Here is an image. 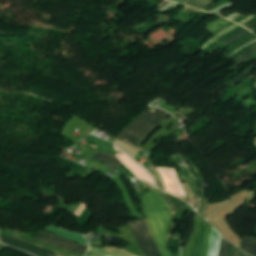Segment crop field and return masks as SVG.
I'll return each mask as SVG.
<instances>
[{
	"label": "crop field",
	"instance_id": "crop-field-1",
	"mask_svg": "<svg viewBox=\"0 0 256 256\" xmlns=\"http://www.w3.org/2000/svg\"><path fill=\"white\" fill-rule=\"evenodd\" d=\"M151 233L163 256H172L166 242L173 229L172 215L157 190L140 197ZM173 231V230H172Z\"/></svg>",
	"mask_w": 256,
	"mask_h": 256
},
{
	"label": "crop field",
	"instance_id": "crop-field-2",
	"mask_svg": "<svg viewBox=\"0 0 256 256\" xmlns=\"http://www.w3.org/2000/svg\"><path fill=\"white\" fill-rule=\"evenodd\" d=\"M169 116L170 114L162 110L146 111L117 139L126 140L135 145L151 128Z\"/></svg>",
	"mask_w": 256,
	"mask_h": 256
},
{
	"label": "crop field",
	"instance_id": "crop-field-3",
	"mask_svg": "<svg viewBox=\"0 0 256 256\" xmlns=\"http://www.w3.org/2000/svg\"><path fill=\"white\" fill-rule=\"evenodd\" d=\"M129 225L145 256H161L145 220Z\"/></svg>",
	"mask_w": 256,
	"mask_h": 256
},
{
	"label": "crop field",
	"instance_id": "crop-field-4",
	"mask_svg": "<svg viewBox=\"0 0 256 256\" xmlns=\"http://www.w3.org/2000/svg\"><path fill=\"white\" fill-rule=\"evenodd\" d=\"M0 236L3 242L23 249L37 256H68L45 247L23 241L17 237L2 234H0Z\"/></svg>",
	"mask_w": 256,
	"mask_h": 256
},
{
	"label": "crop field",
	"instance_id": "crop-field-5",
	"mask_svg": "<svg viewBox=\"0 0 256 256\" xmlns=\"http://www.w3.org/2000/svg\"><path fill=\"white\" fill-rule=\"evenodd\" d=\"M38 233L50 238V239H46V238L38 235L37 236L38 241H41V242H44L47 244H51V245H54V246H57V247H60V248H63V249L69 250V251H73V252H76V253H79L82 255H84V253L86 252V249H87L86 246L77 244L75 242L58 237L56 235L50 234L45 231L38 232Z\"/></svg>",
	"mask_w": 256,
	"mask_h": 256
},
{
	"label": "crop field",
	"instance_id": "crop-field-6",
	"mask_svg": "<svg viewBox=\"0 0 256 256\" xmlns=\"http://www.w3.org/2000/svg\"><path fill=\"white\" fill-rule=\"evenodd\" d=\"M89 252L98 254L100 256H134L123 250L105 247L103 249L90 246Z\"/></svg>",
	"mask_w": 256,
	"mask_h": 256
},
{
	"label": "crop field",
	"instance_id": "crop-field-7",
	"mask_svg": "<svg viewBox=\"0 0 256 256\" xmlns=\"http://www.w3.org/2000/svg\"><path fill=\"white\" fill-rule=\"evenodd\" d=\"M93 160L106 164L111 168V170L123 164L116 156L109 155L103 152H99L98 154H96Z\"/></svg>",
	"mask_w": 256,
	"mask_h": 256
},
{
	"label": "crop field",
	"instance_id": "crop-field-8",
	"mask_svg": "<svg viewBox=\"0 0 256 256\" xmlns=\"http://www.w3.org/2000/svg\"><path fill=\"white\" fill-rule=\"evenodd\" d=\"M45 230L47 231H50L52 233H55V234H58L60 236H63V237H66L68 239H71L75 242H78V243H81V244H84V245H87L88 246V242L86 241V239L81 236V235H77V234H74V233H70V232H67L65 230H62V229H59V228H56L54 226L52 227H48V228H45Z\"/></svg>",
	"mask_w": 256,
	"mask_h": 256
},
{
	"label": "crop field",
	"instance_id": "crop-field-9",
	"mask_svg": "<svg viewBox=\"0 0 256 256\" xmlns=\"http://www.w3.org/2000/svg\"><path fill=\"white\" fill-rule=\"evenodd\" d=\"M221 235L213 228L209 245L208 256H217Z\"/></svg>",
	"mask_w": 256,
	"mask_h": 256
},
{
	"label": "crop field",
	"instance_id": "crop-field-10",
	"mask_svg": "<svg viewBox=\"0 0 256 256\" xmlns=\"http://www.w3.org/2000/svg\"><path fill=\"white\" fill-rule=\"evenodd\" d=\"M243 251L256 256V239L250 238L245 241H242V245L240 247Z\"/></svg>",
	"mask_w": 256,
	"mask_h": 256
},
{
	"label": "crop field",
	"instance_id": "crop-field-11",
	"mask_svg": "<svg viewBox=\"0 0 256 256\" xmlns=\"http://www.w3.org/2000/svg\"><path fill=\"white\" fill-rule=\"evenodd\" d=\"M233 245L221 238L220 250L218 256H230Z\"/></svg>",
	"mask_w": 256,
	"mask_h": 256
},
{
	"label": "crop field",
	"instance_id": "crop-field-12",
	"mask_svg": "<svg viewBox=\"0 0 256 256\" xmlns=\"http://www.w3.org/2000/svg\"><path fill=\"white\" fill-rule=\"evenodd\" d=\"M147 169L150 171L151 175L153 176L157 187L164 189L162 178H161L159 172L155 169V167L153 165H151V166H147Z\"/></svg>",
	"mask_w": 256,
	"mask_h": 256
},
{
	"label": "crop field",
	"instance_id": "crop-field-13",
	"mask_svg": "<svg viewBox=\"0 0 256 256\" xmlns=\"http://www.w3.org/2000/svg\"><path fill=\"white\" fill-rule=\"evenodd\" d=\"M254 69L253 65L250 64L247 68H245L234 80L230 81L231 84L234 86L240 81H242L245 77H247L252 70Z\"/></svg>",
	"mask_w": 256,
	"mask_h": 256
},
{
	"label": "crop field",
	"instance_id": "crop-field-14",
	"mask_svg": "<svg viewBox=\"0 0 256 256\" xmlns=\"http://www.w3.org/2000/svg\"><path fill=\"white\" fill-rule=\"evenodd\" d=\"M93 216L94 215L92 212L85 209L81 216L78 218L77 222L85 227V225L92 219Z\"/></svg>",
	"mask_w": 256,
	"mask_h": 256
},
{
	"label": "crop field",
	"instance_id": "crop-field-15",
	"mask_svg": "<svg viewBox=\"0 0 256 256\" xmlns=\"http://www.w3.org/2000/svg\"><path fill=\"white\" fill-rule=\"evenodd\" d=\"M214 1L216 0H194L190 5L203 9Z\"/></svg>",
	"mask_w": 256,
	"mask_h": 256
},
{
	"label": "crop field",
	"instance_id": "crop-field-16",
	"mask_svg": "<svg viewBox=\"0 0 256 256\" xmlns=\"http://www.w3.org/2000/svg\"><path fill=\"white\" fill-rule=\"evenodd\" d=\"M239 25L235 24L233 26H231L230 28H228L227 30L221 32L220 34L216 35L211 41H209L203 48L202 50L207 47L209 44H211L212 42H214L215 40H217L218 38H220L221 36H223L224 34H226L227 32L231 31L232 29L238 27Z\"/></svg>",
	"mask_w": 256,
	"mask_h": 256
},
{
	"label": "crop field",
	"instance_id": "crop-field-17",
	"mask_svg": "<svg viewBox=\"0 0 256 256\" xmlns=\"http://www.w3.org/2000/svg\"><path fill=\"white\" fill-rule=\"evenodd\" d=\"M159 190V189H158ZM159 192L161 193L164 201L166 202V204L168 205V207L170 208L172 214L174 215L177 211L174 208V206L172 205V203L170 202L168 196L166 195V193L162 192L161 190H159Z\"/></svg>",
	"mask_w": 256,
	"mask_h": 256
},
{
	"label": "crop field",
	"instance_id": "crop-field-18",
	"mask_svg": "<svg viewBox=\"0 0 256 256\" xmlns=\"http://www.w3.org/2000/svg\"><path fill=\"white\" fill-rule=\"evenodd\" d=\"M208 201L209 199L201 198V203L199 205V210L197 212L200 213L203 217L205 216V209L208 205Z\"/></svg>",
	"mask_w": 256,
	"mask_h": 256
},
{
	"label": "crop field",
	"instance_id": "crop-field-19",
	"mask_svg": "<svg viewBox=\"0 0 256 256\" xmlns=\"http://www.w3.org/2000/svg\"><path fill=\"white\" fill-rule=\"evenodd\" d=\"M256 54V50L247 54L246 56H244L238 63H236L230 70L234 71L236 68H238L244 61H246L250 56Z\"/></svg>",
	"mask_w": 256,
	"mask_h": 256
},
{
	"label": "crop field",
	"instance_id": "crop-field-20",
	"mask_svg": "<svg viewBox=\"0 0 256 256\" xmlns=\"http://www.w3.org/2000/svg\"><path fill=\"white\" fill-rule=\"evenodd\" d=\"M249 34H251V33L248 31V32H246V33H244V34H242V35H240V36L234 38L233 40H231L230 42H228V43L225 44V45H227V46H228V45H231V44H233L234 42L240 40L241 38H243V37H245V36H247V35H249Z\"/></svg>",
	"mask_w": 256,
	"mask_h": 256
},
{
	"label": "crop field",
	"instance_id": "crop-field-21",
	"mask_svg": "<svg viewBox=\"0 0 256 256\" xmlns=\"http://www.w3.org/2000/svg\"><path fill=\"white\" fill-rule=\"evenodd\" d=\"M232 256H250L239 250L238 248L234 247V251Z\"/></svg>",
	"mask_w": 256,
	"mask_h": 256
},
{
	"label": "crop field",
	"instance_id": "crop-field-22",
	"mask_svg": "<svg viewBox=\"0 0 256 256\" xmlns=\"http://www.w3.org/2000/svg\"><path fill=\"white\" fill-rule=\"evenodd\" d=\"M256 49V45L255 46H253V47H251V48H249L248 50H246V51H244L237 59H235L234 61H238L239 59H241L245 54H247V53H249V52H251V51H253V50H255ZM246 56V55H245Z\"/></svg>",
	"mask_w": 256,
	"mask_h": 256
},
{
	"label": "crop field",
	"instance_id": "crop-field-23",
	"mask_svg": "<svg viewBox=\"0 0 256 256\" xmlns=\"http://www.w3.org/2000/svg\"><path fill=\"white\" fill-rule=\"evenodd\" d=\"M246 31H248V30H243V31H241V32H239V33H237V34H235V35H233V36H231V37H229V38H227L226 40H224L223 42H221V43H226V42H228V41H230L231 39H233L234 37H236V36H238V35H240V34H242V33H244V32H246Z\"/></svg>",
	"mask_w": 256,
	"mask_h": 256
},
{
	"label": "crop field",
	"instance_id": "crop-field-24",
	"mask_svg": "<svg viewBox=\"0 0 256 256\" xmlns=\"http://www.w3.org/2000/svg\"><path fill=\"white\" fill-rule=\"evenodd\" d=\"M254 17V15H251L250 17H248L246 20L240 22L239 24L243 25L245 24L247 21H249L250 19H252Z\"/></svg>",
	"mask_w": 256,
	"mask_h": 256
},
{
	"label": "crop field",
	"instance_id": "crop-field-25",
	"mask_svg": "<svg viewBox=\"0 0 256 256\" xmlns=\"http://www.w3.org/2000/svg\"><path fill=\"white\" fill-rule=\"evenodd\" d=\"M193 0H186L183 4L188 5L190 2H192Z\"/></svg>",
	"mask_w": 256,
	"mask_h": 256
},
{
	"label": "crop field",
	"instance_id": "crop-field-26",
	"mask_svg": "<svg viewBox=\"0 0 256 256\" xmlns=\"http://www.w3.org/2000/svg\"><path fill=\"white\" fill-rule=\"evenodd\" d=\"M177 1H181V2H183V1H185V0H177Z\"/></svg>",
	"mask_w": 256,
	"mask_h": 256
}]
</instances>
